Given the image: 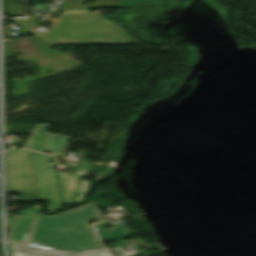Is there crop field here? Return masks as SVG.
Returning a JSON list of instances; mask_svg holds the SVG:
<instances>
[{
    "label": "crop field",
    "mask_w": 256,
    "mask_h": 256,
    "mask_svg": "<svg viewBox=\"0 0 256 256\" xmlns=\"http://www.w3.org/2000/svg\"><path fill=\"white\" fill-rule=\"evenodd\" d=\"M55 165L54 157L10 148L6 153L7 192L19 193L20 201H46L48 211L83 200L89 183L80 180L84 175L54 171Z\"/></svg>",
    "instance_id": "crop-field-1"
},
{
    "label": "crop field",
    "mask_w": 256,
    "mask_h": 256,
    "mask_svg": "<svg viewBox=\"0 0 256 256\" xmlns=\"http://www.w3.org/2000/svg\"><path fill=\"white\" fill-rule=\"evenodd\" d=\"M102 220L97 205L64 211L53 216L34 217L24 244L58 251H92L102 249L92 228L91 220Z\"/></svg>",
    "instance_id": "crop-field-2"
},
{
    "label": "crop field",
    "mask_w": 256,
    "mask_h": 256,
    "mask_svg": "<svg viewBox=\"0 0 256 256\" xmlns=\"http://www.w3.org/2000/svg\"><path fill=\"white\" fill-rule=\"evenodd\" d=\"M48 124H36L23 148L43 152L44 150L57 155L63 148L69 137L46 133Z\"/></svg>",
    "instance_id": "crop-field-3"
},
{
    "label": "crop field",
    "mask_w": 256,
    "mask_h": 256,
    "mask_svg": "<svg viewBox=\"0 0 256 256\" xmlns=\"http://www.w3.org/2000/svg\"><path fill=\"white\" fill-rule=\"evenodd\" d=\"M12 256H112L109 250L81 254H61L10 244Z\"/></svg>",
    "instance_id": "crop-field-4"
},
{
    "label": "crop field",
    "mask_w": 256,
    "mask_h": 256,
    "mask_svg": "<svg viewBox=\"0 0 256 256\" xmlns=\"http://www.w3.org/2000/svg\"><path fill=\"white\" fill-rule=\"evenodd\" d=\"M40 209H22L19 217H8V230L27 233L32 219Z\"/></svg>",
    "instance_id": "crop-field-5"
},
{
    "label": "crop field",
    "mask_w": 256,
    "mask_h": 256,
    "mask_svg": "<svg viewBox=\"0 0 256 256\" xmlns=\"http://www.w3.org/2000/svg\"><path fill=\"white\" fill-rule=\"evenodd\" d=\"M109 225H107L106 222L104 221V222L99 223L98 225L94 226L101 241L127 238V237H129L128 233H136V232L128 229L124 225L115 226L111 229L105 230L104 227L109 226Z\"/></svg>",
    "instance_id": "crop-field-6"
},
{
    "label": "crop field",
    "mask_w": 256,
    "mask_h": 256,
    "mask_svg": "<svg viewBox=\"0 0 256 256\" xmlns=\"http://www.w3.org/2000/svg\"><path fill=\"white\" fill-rule=\"evenodd\" d=\"M84 0H70L63 2V9H85V8H104L109 0H96L93 5L81 6Z\"/></svg>",
    "instance_id": "crop-field-7"
},
{
    "label": "crop field",
    "mask_w": 256,
    "mask_h": 256,
    "mask_svg": "<svg viewBox=\"0 0 256 256\" xmlns=\"http://www.w3.org/2000/svg\"><path fill=\"white\" fill-rule=\"evenodd\" d=\"M25 236H26V234L13 232V231H9V233H8L9 241H14V242H18V243H23L25 240Z\"/></svg>",
    "instance_id": "crop-field-8"
},
{
    "label": "crop field",
    "mask_w": 256,
    "mask_h": 256,
    "mask_svg": "<svg viewBox=\"0 0 256 256\" xmlns=\"http://www.w3.org/2000/svg\"><path fill=\"white\" fill-rule=\"evenodd\" d=\"M91 169V165L89 164H79L73 167V171L87 174Z\"/></svg>",
    "instance_id": "crop-field-9"
},
{
    "label": "crop field",
    "mask_w": 256,
    "mask_h": 256,
    "mask_svg": "<svg viewBox=\"0 0 256 256\" xmlns=\"http://www.w3.org/2000/svg\"><path fill=\"white\" fill-rule=\"evenodd\" d=\"M128 1H131V0H111V1H109V3L106 5L105 8L115 7L121 3L128 2Z\"/></svg>",
    "instance_id": "crop-field-10"
}]
</instances>
